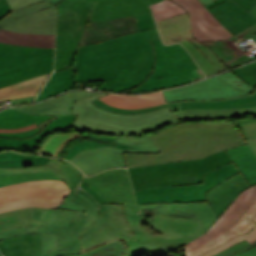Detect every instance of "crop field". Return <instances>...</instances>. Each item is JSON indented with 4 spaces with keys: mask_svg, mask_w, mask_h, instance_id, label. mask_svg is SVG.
Listing matches in <instances>:
<instances>
[{
    "mask_svg": "<svg viewBox=\"0 0 256 256\" xmlns=\"http://www.w3.org/2000/svg\"><path fill=\"white\" fill-rule=\"evenodd\" d=\"M158 38L154 28L79 47L76 82L106 80L98 90L135 88L153 71L155 55L149 40Z\"/></svg>",
    "mask_w": 256,
    "mask_h": 256,
    "instance_id": "obj_1",
    "label": "crop field"
},
{
    "mask_svg": "<svg viewBox=\"0 0 256 256\" xmlns=\"http://www.w3.org/2000/svg\"><path fill=\"white\" fill-rule=\"evenodd\" d=\"M123 207L135 235L127 243L135 256L172 252L205 233L217 220L208 202L148 204L140 205V210Z\"/></svg>",
    "mask_w": 256,
    "mask_h": 256,
    "instance_id": "obj_2",
    "label": "crop field"
},
{
    "mask_svg": "<svg viewBox=\"0 0 256 256\" xmlns=\"http://www.w3.org/2000/svg\"><path fill=\"white\" fill-rule=\"evenodd\" d=\"M105 94L82 91L70 92L52 98L46 103L41 102L16 109L22 112L46 115H77L72 128L108 134L139 135L152 132L170 123L179 122L177 112H170L168 107L145 114L119 115L101 110L90 102Z\"/></svg>",
    "mask_w": 256,
    "mask_h": 256,
    "instance_id": "obj_3",
    "label": "crop field"
},
{
    "mask_svg": "<svg viewBox=\"0 0 256 256\" xmlns=\"http://www.w3.org/2000/svg\"><path fill=\"white\" fill-rule=\"evenodd\" d=\"M203 126V128H201ZM161 153H124L128 167L203 158L212 153L246 144L234 124H185L154 135Z\"/></svg>",
    "mask_w": 256,
    "mask_h": 256,
    "instance_id": "obj_4",
    "label": "crop field"
},
{
    "mask_svg": "<svg viewBox=\"0 0 256 256\" xmlns=\"http://www.w3.org/2000/svg\"><path fill=\"white\" fill-rule=\"evenodd\" d=\"M249 12L256 15V5ZM156 23L164 44L180 42L206 76L255 60L253 56L250 57L242 51L235 41L250 38L248 35L256 31V24L227 40L199 43L192 37L188 13Z\"/></svg>",
    "mask_w": 256,
    "mask_h": 256,
    "instance_id": "obj_5",
    "label": "crop field"
},
{
    "mask_svg": "<svg viewBox=\"0 0 256 256\" xmlns=\"http://www.w3.org/2000/svg\"><path fill=\"white\" fill-rule=\"evenodd\" d=\"M232 162L225 151L203 159L128 168L134 190L203 183V174Z\"/></svg>",
    "mask_w": 256,
    "mask_h": 256,
    "instance_id": "obj_6",
    "label": "crop field"
},
{
    "mask_svg": "<svg viewBox=\"0 0 256 256\" xmlns=\"http://www.w3.org/2000/svg\"><path fill=\"white\" fill-rule=\"evenodd\" d=\"M256 224V185L242 191L223 215L203 235L185 245V256H198Z\"/></svg>",
    "mask_w": 256,
    "mask_h": 256,
    "instance_id": "obj_7",
    "label": "crop field"
},
{
    "mask_svg": "<svg viewBox=\"0 0 256 256\" xmlns=\"http://www.w3.org/2000/svg\"><path fill=\"white\" fill-rule=\"evenodd\" d=\"M151 42L156 55L153 73L137 88L122 92L150 91L180 85L205 77L180 44L164 46L160 39L152 40Z\"/></svg>",
    "mask_w": 256,
    "mask_h": 256,
    "instance_id": "obj_8",
    "label": "crop field"
},
{
    "mask_svg": "<svg viewBox=\"0 0 256 256\" xmlns=\"http://www.w3.org/2000/svg\"><path fill=\"white\" fill-rule=\"evenodd\" d=\"M94 2L63 0L57 4V38L54 71L72 66L76 49Z\"/></svg>",
    "mask_w": 256,
    "mask_h": 256,
    "instance_id": "obj_9",
    "label": "crop field"
},
{
    "mask_svg": "<svg viewBox=\"0 0 256 256\" xmlns=\"http://www.w3.org/2000/svg\"><path fill=\"white\" fill-rule=\"evenodd\" d=\"M54 49L0 43V87L53 71Z\"/></svg>",
    "mask_w": 256,
    "mask_h": 256,
    "instance_id": "obj_10",
    "label": "crop field"
},
{
    "mask_svg": "<svg viewBox=\"0 0 256 256\" xmlns=\"http://www.w3.org/2000/svg\"><path fill=\"white\" fill-rule=\"evenodd\" d=\"M71 190L62 180H42L0 187V212L24 208H57Z\"/></svg>",
    "mask_w": 256,
    "mask_h": 256,
    "instance_id": "obj_11",
    "label": "crop field"
},
{
    "mask_svg": "<svg viewBox=\"0 0 256 256\" xmlns=\"http://www.w3.org/2000/svg\"><path fill=\"white\" fill-rule=\"evenodd\" d=\"M123 152H159L151 135L141 138L121 136L115 147L105 146L79 152L70 161L78 166L85 175L91 176L102 170L114 167H127Z\"/></svg>",
    "mask_w": 256,
    "mask_h": 256,
    "instance_id": "obj_12",
    "label": "crop field"
},
{
    "mask_svg": "<svg viewBox=\"0 0 256 256\" xmlns=\"http://www.w3.org/2000/svg\"><path fill=\"white\" fill-rule=\"evenodd\" d=\"M240 172L233 163L204 175V184L168 186L136 191L138 204L208 201L205 192Z\"/></svg>",
    "mask_w": 256,
    "mask_h": 256,
    "instance_id": "obj_13",
    "label": "crop field"
},
{
    "mask_svg": "<svg viewBox=\"0 0 256 256\" xmlns=\"http://www.w3.org/2000/svg\"><path fill=\"white\" fill-rule=\"evenodd\" d=\"M170 111L177 110L180 122L235 117L256 113V92L222 100L167 103Z\"/></svg>",
    "mask_w": 256,
    "mask_h": 256,
    "instance_id": "obj_14",
    "label": "crop field"
},
{
    "mask_svg": "<svg viewBox=\"0 0 256 256\" xmlns=\"http://www.w3.org/2000/svg\"><path fill=\"white\" fill-rule=\"evenodd\" d=\"M253 89L248 83L228 71L189 86L163 92L166 101L172 102L228 98L247 94Z\"/></svg>",
    "mask_w": 256,
    "mask_h": 256,
    "instance_id": "obj_15",
    "label": "crop field"
},
{
    "mask_svg": "<svg viewBox=\"0 0 256 256\" xmlns=\"http://www.w3.org/2000/svg\"><path fill=\"white\" fill-rule=\"evenodd\" d=\"M100 208L102 217L80 237L84 253L118 239L127 243L134 236L124 217L122 205L102 204Z\"/></svg>",
    "mask_w": 256,
    "mask_h": 256,
    "instance_id": "obj_16",
    "label": "crop field"
},
{
    "mask_svg": "<svg viewBox=\"0 0 256 256\" xmlns=\"http://www.w3.org/2000/svg\"><path fill=\"white\" fill-rule=\"evenodd\" d=\"M154 27L156 25L152 14L91 22L90 28L85 27L79 46Z\"/></svg>",
    "mask_w": 256,
    "mask_h": 256,
    "instance_id": "obj_17",
    "label": "crop field"
},
{
    "mask_svg": "<svg viewBox=\"0 0 256 256\" xmlns=\"http://www.w3.org/2000/svg\"><path fill=\"white\" fill-rule=\"evenodd\" d=\"M83 181L88 186L95 184L104 193L106 203L137 206L125 169H111L89 178L85 177Z\"/></svg>",
    "mask_w": 256,
    "mask_h": 256,
    "instance_id": "obj_18",
    "label": "crop field"
},
{
    "mask_svg": "<svg viewBox=\"0 0 256 256\" xmlns=\"http://www.w3.org/2000/svg\"><path fill=\"white\" fill-rule=\"evenodd\" d=\"M184 7L190 15L192 34L199 42L223 40L232 33L226 30L199 0H171Z\"/></svg>",
    "mask_w": 256,
    "mask_h": 256,
    "instance_id": "obj_19",
    "label": "crop field"
},
{
    "mask_svg": "<svg viewBox=\"0 0 256 256\" xmlns=\"http://www.w3.org/2000/svg\"><path fill=\"white\" fill-rule=\"evenodd\" d=\"M256 0H227L209 11L227 30L236 34L256 23V16L248 11Z\"/></svg>",
    "mask_w": 256,
    "mask_h": 256,
    "instance_id": "obj_20",
    "label": "crop field"
},
{
    "mask_svg": "<svg viewBox=\"0 0 256 256\" xmlns=\"http://www.w3.org/2000/svg\"><path fill=\"white\" fill-rule=\"evenodd\" d=\"M62 1V0H60ZM59 1V2H60ZM96 1L89 17L90 21L115 19L151 13L148 5L161 0H90ZM57 2V3H59ZM53 4L54 6L57 4Z\"/></svg>",
    "mask_w": 256,
    "mask_h": 256,
    "instance_id": "obj_21",
    "label": "crop field"
},
{
    "mask_svg": "<svg viewBox=\"0 0 256 256\" xmlns=\"http://www.w3.org/2000/svg\"><path fill=\"white\" fill-rule=\"evenodd\" d=\"M75 117L76 116H56L38 125L41 131L30 138L14 139L0 137V151L9 149H15L18 151L32 150L48 133L59 130H69L75 120Z\"/></svg>",
    "mask_w": 256,
    "mask_h": 256,
    "instance_id": "obj_22",
    "label": "crop field"
},
{
    "mask_svg": "<svg viewBox=\"0 0 256 256\" xmlns=\"http://www.w3.org/2000/svg\"><path fill=\"white\" fill-rule=\"evenodd\" d=\"M56 9L51 7L17 18L2 28L35 34H55Z\"/></svg>",
    "mask_w": 256,
    "mask_h": 256,
    "instance_id": "obj_23",
    "label": "crop field"
},
{
    "mask_svg": "<svg viewBox=\"0 0 256 256\" xmlns=\"http://www.w3.org/2000/svg\"><path fill=\"white\" fill-rule=\"evenodd\" d=\"M248 187H250L249 184L240 172L206 192L217 218L221 216L238 194Z\"/></svg>",
    "mask_w": 256,
    "mask_h": 256,
    "instance_id": "obj_24",
    "label": "crop field"
},
{
    "mask_svg": "<svg viewBox=\"0 0 256 256\" xmlns=\"http://www.w3.org/2000/svg\"><path fill=\"white\" fill-rule=\"evenodd\" d=\"M43 171H53L72 190L76 187L84 174L73 164L58 158H51L46 165L31 167V168H5L0 169L1 174H11V173H26V172H43Z\"/></svg>",
    "mask_w": 256,
    "mask_h": 256,
    "instance_id": "obj_25",
    "label": "crop field"
},
{
    "mask_svg": "<svg viewBox=\"0 0 256 256\" xmlns=\"http://www.w3.org/2000/svg\"><path fill=\"white\" fill-rule=\"evenodd\" d=\"M42 233V256L74 254L73 232L62 228H38Z\"/></svg>",
    "mask_w": 256,
    "mask_h": 256,
    "instance_id": "obj_26",
    "label": "crop field"
},
{
    "mask_svg": "<svg viewBox=\"0 0 256 256\" xmlns=\"http://www.w3.org/2000/svg\"><path fill=\"white\" fill-rule=\"evenodd\" d=\"M3 256H41V234H25L0 241Z\"/></svg>",
    "mask_w": 256,
    "mask_h": 256,
    "instance_id": "obj_27",
    "label": "crop field"
},
{
    "mask_svg": "<svg viewBox=\"0 0 256 256\" xmlns=\"http://www.w3.org/2000/svg\"><path fill=\"white\" fill-rule=\"evenodd\" d=\"M34 219L44 220L39 227H63L74 231L85 216L77 211L33 208Z\"/></svg>",
    "mask_w": 256,
    "mask_h": 256,
    "instance_id": "obj_28",
    "label": "crop field"
},
{
    "mask_svg": "<svg viewBox=\"0 0 256 256\" xmlns=\"http://www.w3.org/2000/svg\"><path fill=\"white\" fill-rule=\"evenodd\" d=\"M100 100L112 106L125 109L153 107L166 103L161 92L151 93L147 95L109 94L100 98Z\"/></svg>",
    "mask_w": 256,
    "mask_h": 256,
    "instance_id": "obj_29",
    "label": "crop field"
},
{
    "mask_svg": "<svg viewBox=\"0 0 256 256\" xmlns=\"http://www.w3.org/2000/svg\"><path fill=\"white\" fill-rule=\"evenodd\" d=\"M51 73L31 78L7 87L0 88V101L35 96Z\"/></svg>",
    "mask_w": 256,
    "mask_h": 256,
    "instance_id": "obj_30",
    "label": "crop field"
},
{
    "mask_svg": "<svg viewBox=\"0 0 256 256\" xmlns=\"http://www.w3.org/2000/svg\"><path fill=\"white\" fill-rule=\"evenodd\" d=\"M233 163L242 172L250 186L256 184V156L249 145L226 150Z\"/></svg>",
    "mask_w": 256,
    "mask_h": 256,
    "instance_id": "obj_31",
    "label": "crop field"
},
{
    "mask_svg": "<svg viewBox=\"0 0 256 256\" xmlns=\"http://www.w3.org/2000/svg\"><path fill=\"white\" fill-rule=\"evenodd\" d=\"M0 42L20 46L54 48V35L21 34L0 29Z\"/></svg>",
    "mask_w": 256,
    "mask_h": 256,
    "instance_id": "obj_32",
    "label": "crop field"
},
{
    "mask_svg": "<svg viewBox=\"0 0 256 256\" xmlns=\"http://www.w3.org/2000/svg\"><path fill=\"white\" fill-rule=\"evenodd\" d=\"M74 83L75 76L73 66L62 71L55 72L46 83L35 101L53 96L60 92L70 90L72 89Z\"/></svg>",
    "mask_w": 256,
    "mask_h": 256,
    "instance_id": "obj_33",
    "label": "crop field"
},
{
    "mask_svg": "<svg viewBox=\"0 0 256 256\" xmlns=\"http://www.w3.org/2000/svg\"><path fill=\"white\" fill-rule=\"evenodd\" d=\"M58 209L78 210L85 213L101 215L99 204L85 191L77 187L70 192Z\"/></svg>",
    "mask_w": 256,
    "mask_h": 256,
    "instance_id": "obj_34",
    "label": "crop field"
},
{
    "mask_svg": "<svg viewBox=\"0 0 256 256\" xmlns=\"http://www.w3.org/2000/svg\"><path fill=\"white\" fill-rule=\"evenodd\" d=\"M53 116L29 115L12 108L0 112V128L18 129L35 123L36 125Z\"/></svg>",
    "mask_w": 256,
    "mask_h": 256,
    "instance_id": "obj_35",
    "label": "crop field"
},
{
    "mask_svg": "<svg viewBox=\"0 0 256 256\" xmlns=\"http://www.w3.org/2000/svg\"><path fill=\"white\" fill-rule=\"evenodd\" d=\"M42 221L33 220L32 208L0 213V232L21 226H38Z\"/></svg>",
    "mask_w": 256,
    "mask_h": 256,
    "instance_id": "obj_36",
    "label": "crop field"
},
{
    "mask_svg": "<svg viewBox=\"0 0 256 256\" xmlns=\"http://www.w3.org/2000/svg\"><path fill=\"white\" fill-rule=\"evenodd\" d=\"M12 13L0 20V28L14 18L53 6L50 0H8Z\"/></svg>",
    "mask_w": 256,
    "mask_h": 256,
    "instance_id": "obj_37",
    "label": "crop field"
},
{
    "mask_svg": "<svg viewBox=\"0 0 256 256\" xmlns=\"http://www.w3.org/2000/svg\"><path fill=\"white\" fill-rule=\"evenodd\" d=\"M50 158L42 156H24L12 151L0 153V168L4 167H31L43 165Z\"/></svg>",
    "mask_w": 256,
    "mask_h": 256,
    "instance_id": "obj_38",
    "label": "crop field"
},
{
    "mask_svg": "<svg viewBox=\"0 0 256 256\" xmlns=\"http://www.w3.org/2000/svg\"><path fill=\"white\" fill-rule=\"evenodd\" d=\"M84 142H80L73 146L71 150L68 152L65 159L71 160L75 154H77L79 151L87 148H93V147H99L104 145H115V141L117 137L113 136H105V135H92V134H86L81 135Z\"/></svg>",
    "mask_w": 256,
    "mask_h": 256,
    "instance_id": "obj_39",
    "label": "crop field"
},
{
    "mask_svg": "<svg viewBox=\"0 0 256 256\" xmlns=\"http://www.w3.org/2000/svg\"><path fill=\"white\" fill-rule=\"evenodd\" d=\"M69 256H134L127 244L118 240L112 243L104 244L85 254L69 255Z\"/></svg>",
    "mask_w": 256,
    "mask_h": 256,
    "instance_id": "obj_40",
    "label": "crop field"
},
{
    "mask_svg": "<svg viewBox=\"0 0 256 256\" xmlns=\"http://www.w3.org/2000/svg\"><path fill=\"white\" fill-rule=\"evenodd\" d=\"M149 7L153 12L156 21L187 13L185 9L179 7L178 5L169 0H164L158 4H152Z\"/></svg>",
    "mask_w": 256,
    "mask_h": 256,
    "instance_id": "obj_41",
    "label": "crop field"
},
{
    "mask_svg": "<svg viewBox=\"0 0 256 256\" xmlns=\"http://www.w3.org/2000/svg\"><path fill=\"white\" fill-rule=\"evenodd\" d=\"M41 179H61V178H59L53 172L1 175L0 186L17 183V182L41 180Z\"/></svg>",
    "mask_w": 256,
    "mask_h": 256,
    "instance_id": "obj_42",
    "label": "crop field"
},
{
    "mask_svg": "<svg viewBox=\"0 0 256 256\" xmlns=\"http://www.w3.org/2000/svg\"><path fill=\"white\" fill-rule=\"evenodd\" d=\"M76 137H80V134L69 133L53 135L43 144L41 149L56 157L60 150L66 145V143Z\"/></svg>",
    "mask_w": 256,
    "mask_h": 256,
    "instance_id": "obj_43",
    "label": "crop field"
},
{
    "mask_svg": "<svg viewBox=\"0 0 256 256\" xmlns=\"http://www.w3.org/2000/svg\"><path fill=\"white\" fill-rule=\"evenodd\" d=\"M241 128L243 138L250 145L256 155V119L246 118L236 122Z\"/></svg>",
    "mask_w": 256,
    "mask_h": 256,
    "instance_id": "obj_44",
    "label": "crop field"
},
{
    "mask_svg": "<svg viewBox=\"0 0 256 256\" xmlns=\"http://www.w3.org/2000/svg\"><path fill=\"white\" fill-rule=\"evenodd\" d=\"M98 215L86 214L81 223L74 231V243H75V254L83 253L82 247L80 245L79 237L87 232L98 219Z\"/></svg>",
    "mask_w": 256,
    "mask_h": 256,
    "instance_id": "obj_45",
    "label": "crop field"
},
{
    "mask_svg": "<svg viewBox=\"0 0 256 256\" xmlns=\"http://www.w3.org/2000/svg\"><path fill=\"white\" fill-rule=\"evenodd\" d=\"M244 239H246L250 244L256 241V225L253 227V229L248 234L239 235V236L231 239L230 241H228V242H226V243H224V244H222V245H220V246H218L200 256H211V255H213V254H215V253H217V252H219V251H221L239 241L244 240Z\"/></svg>",
    "mask_w": 256,
    "mask_h": 256,
    "instance_id": "obj_46",
    "label": "crop field"
},
{
    "mask_svg": "<svg viewBox=\"0 0 256 256\" xmlns=\"http://www.w3.org/2000/svg\"><path fill=\"white\" fill-rule=\"evenodd\" d=\"M234 74L248 82L251 86L256 85V64L252 63L247 66L231 70Z\"/></svg>",
    "mask_w": 256,
    "mask_h": 256,
    "instance_id": "obj_47",
    "label": "crop field"
},
{
    "mask_svg": "<svg viewBox=\"0 0 256 256\" xmlns=\"http://www.w3.org/2000/svg\"><path fill=\"white\" fill-rule=\"evenodd\" d=\"M92 103H94L95 105L99 106L101 109H105V110L111 111V112L122 113V114L144 113V112L152 111V110L159 109V108L167 106L165 104V105H161V106H157V107H153V108H147V109L125 110V109H119V108H115V107L109 106V105L105 104L104 102L100 101L99 99H97L95 101H92Z\"/></svg>",
    "mask_w": 256,
    "mask_h": 256,
    "instance_id": "obj_48",
    "label": "crop field"
},
{
    "mask_svg": "<svg viewBox=\"0 0 256 256\" xmlns=\"http://www.w3.org/2000/svg\"><path fill=\"white\" fill-rule=\"evenodd\" d=\"M256 246V242L252 245H250L246 240L240 243H237L233 246H231L230 248L214 255V256H234L237 255L251 247Z\"/></svg>",
    "mask_w": 256,
    "mask_h": 256,
    "instance_id": "obj_49",
    "label": "crop field"
},
{
    "mask_svg": "<svg viewBox=\"0 0 256 256\" xmlns=\"http://www.w3.org/2000/svg\"><path fill=\"white\" fill-rule=\"evenodd\" d=\"M24 233H37V227H22L11 231L0 233V239H5L11 236H16Z\"/></svg>",
    "mask_w": 256,
    "mask_h": 256,
    "instance_id": "obj_50",
    "label": "crop field"
},
{
    "mask_svg": "<svg viewBox=\"0 0 256 256\" xmlns=\"http://www.w3.org/2000/svg\"><path fill=\"white\" fill-rule=\"evenodd\" d=\"M80 187H82L91 196H93L99 204L105 203V197L103 193L95 185L88 187L84 182H81Z\"/></svg>",
    "mask_w": 256,
    "mask_h": 256,
    "instance_id": "obj_51",
    "label": "crop field"
},
{
    "mask_svg": "<svg viewBox=\"0 0 256 256\" xmlns=\"http://www.w3.org/2000/svg\"><path fill=\"white\" fill-rule=\"evenodd\" d=\"M40 131L39 128L34 129V130H30V131H26V132H20V133H0V136L2 137H15V138H25V137H29L31 135H34L36 133H38Z\"/></svg>",
    "mask_w": 256,
    "mask_h": 256,
    "instance_id": "obj_52",
    "label": "crop field"
},
{
    "mask_svg": "<svg viewBox=\"0 0 256 256\" xmlns=\"http://www.w3.org/2000/svg\"><path fill=\"white\" fill-rule=\"evenodd\" d=\"M82 141V138H76L74 140H72L71 142L67 143V145L61 150V152L59 153L58 157H62L65 158L67 152L70 150V148L75 145L76 143Z\"/></svg>",
    "mask_w": 256,
    "mask_h": 256,
    "instance_id": "obj_53",
    "label": "crop field"
},
{
    "mask_svg": "<svg viewBox=\"0 0 256 256\" xmlns=\"http://www.w3.org/2000/svg\"><path fill=\"white\" fill-rule=\"evenodd\" d=\"M11 13L7 0H0V19Z\"/></svg>",
    "mask_w": 256,
    "mask_h": 256,
    "instance_id": "obj_54",
    "label": "crop field"
},
{
    "mask_svg": "<svg viewBox=\"0 0 256 256\" xmlns=\"http://www.w3.org/2000/svg\"><path fill=\"white\" fill-rule=\"evenodd\" d=\"M187 123L223 124V123H233V121H206V122H187ZM182 124H184V123H182ZM171 126H174V125H171ZM171 126H167V127L163 128V129H160V130L154 132V134H157V133L161 132L162 130H164V129L168 128V127H171Z\"/></svg>",
    "mask_w": 256,
    "mask_h": 256,
    "instance_id": "obj_55",
    "label": "crop field"
},
{
    "mask_svg": "<svg viewBox=\"0 0 256 256\" xmlns=\"http://www.w3.org/2000/svg\"><path fill=\"white\" fill-rule=\"evenodd\" d=\"M33 128H37V126L35 124L30 125L26 128H22V129H18V130H5V129H0V132H20V131H26V130H30Z\"/></svg>",
    "mask_w": 256,
    "mask_h": 256,
    "instance_id": "obj_56",
    "label": "crop field"
},
{
    "mask_svg": "<svg viewBox=\"0 0 256 256\" xmlns=\"http://www.w3.org/2000/svg\"><path fill=\"white\" fill-rule=\"evenodd\" d=\"M237 256H256V247L242 253V254H239Z\"/></svg>",
    "mask_w": 256,
    "mask_h": 256,
    "instance_id": "obj_57",
    "label": "crop field"
},
{
    "mask_svg": "<svg viewBox=\"0 0 256 256\" xmlns=\"http://www.w3.org/2000/svg\"><path fill=\"white\" fill-rule=\"evenodd\" d=\"M223 1H225V0H217V1L213 2V3H211V4L206 5V7H207V9H209V8L215 6V5H217V4H219V3L223 2Z\"/></svg>",
    "mask_w": 256,
    "mask_h": 256,
    "instance_id": "obj_58",
    "label": "crop field"
},
{
    "mask_svg": "<svg viewBox=\"0 0 256 256\" xmlns=\"http://www.w3.org/2000/svg\"><path fill=\"white\" fill-rule=\"evenodd\" d=\"M202 2V4H208V3H211L213 2L214 0H200Z\"/></svg>",
    "mask_w": 256,
    "mask_h": 256,
    "instance_id": "obj_59",
    "label": "crop field"
},
{
    "mask_svg": "<svg viewBox=\"0 0 256 256\" xmlns=\"http://www.w3.org/2000/svg\"><path fill=\"white\" fill-rule=\"evenodd\" d=\"M57 1H58V0H51L52 3H55V2H57Z\"/></svg>",
    "mask_w": 256,
    "mask_h": 256,
    "instance_id": "obj_60",
    "label": "crop field"
},
{
    "mask_svg": "<svg viewBox=\"0 0 256 256\" xmlns=\"http://www.w3.org/2000/svg\"><path fill=\"white\" fill-rule=\"evenodd\" d=\"M0 256H1V254H0Z\"/></svg>",
    "mask_w": 256,
    "mask_h": 256,
    "instance_id": "obj_61",
    "label": "crop field"
}]
</instances>
